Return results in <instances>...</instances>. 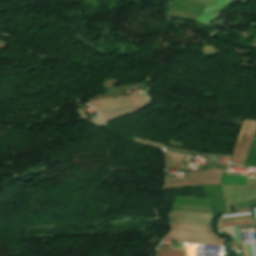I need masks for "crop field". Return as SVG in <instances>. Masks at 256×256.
Segmentation results:
<instances>
[{"label": "crop field", "mask_w": 256, "mask_h": 256, "mask_svg": "<svg viewBox=\"0 0 256 256\" xmlns=\"http://www.w3.org/2000/svg\"><path fill=\"white\" fill-rule=\"evenodd\" d=\"M169 220L175 223V228L163 238L176 239L180 246L160 247L158 251L185 249V243L212 245L226 243V239H220L213 233L211 214L171 211Z\"/></svg>", "instance_id": "crop-field-1"}, {"label": "crop field", "mask_w": 256, "mask_h": 256, "mask_svg": "<svg viewBox=\"0 0 256 256\" xmlns=\"http://www.w3.org/2000/svg\"><path fill=\"white\" fill-rule=\"evenodd\" d=\"M221 172L222 169H212L208 171L190 172L189 177H185V179L167 178L165 188L198 184H220Z\"/></svg>", "instance_id": "crop-field-2"}, {"label": "crop field", "mask_w": 256, "mask_h": 256, "mask_svg": "<svg viewBox=\"0 0 256 256\" xmlns=\"http://www.w3.org/2000/svg\"><path fill=\"white\" fill-rule=\"evenodd\" d=\"M256 128V121H244L241 129L239 139L236 145L232 163L243 165L247 155L254 131Z\"/></svg>", "instance_id": "crop-field-3"}, {"label": "crop field", "mask_w": 256, "mask_h": 256, "mask_svg": "<svg viewBox=\"0 0 256 256\" xmlns=\"http://www.w3.org/2000/svg\"><path fill=\"white\" fill-rule=\"evenodd\" d=\"M167 168L179 169L184 158L183 155L165 152Z\"/></svg>", "instance_id": "crop-field-4"}, {"label": "crop field", "mask_w": 256, "mask_h": 256, "mask_svg": "<svg viewBox=\"0 0 256 256\" xmlns=\"http://www.w3.org/2000/svg\"><path fill=\"white\" fill-rule=\"evenodd\" d=\"M221 184H246V177L222 174Z\"/></svg>", "instance_id": "crop-field-5"}, {"label": "crop field", "mask_w": 256, "mask_h": 256, "mask_svg": "<svg viewBox=\"0 0 256 256\" xmlns=\"http://www.w3.org/2000/svg\"><path fill=\"white\" fill-rule=\"evenodd\" d=\"M246 213H249L248 208H247V209H244V210H242L241 212H238V213H236V214H234V215L246 214ZM247 222H251L250 217H247V218H240V219H233V220H226V221H223V226H225V225H231V224L247 223Z\"/></svg>", "instance_id": "crop-field-6"}, {"label": "crop field", "mask_w": 256, "mask_h": 256, "mask_svg": "<svg viewBox=\"0 0 256 256\" xmlns=\"http://www.w3.org/2000/svg\"><path fill=\"white\" fill-rule=\"evenodd\" d=\"M249 226H252V225L248 224V225H241L238 227L242 228V227H249ZM238 227L237 226H229V227H223V228L225 230H227L228 232H230L239 242H242L241 233H240V231H238ZM249 228H252V227H249ZM242 229H247V228H242Z\"/></svg>", "instance_id": "crop-field-7"}, {"label": "crop field", "mask_w": 256, "mask_h": 256, "mask_svg": "<svg viewBox=\"0 0 256 256\" xmlns=\"http://www.w3.org/2000/svg\"><path fill=\"white\" fill-rule=\"evenodd\" d=\"M155 256H186L185 250L157 252Z\"/></svg>", "instance_id": "crop-field-8"}, {"label": "crop field", "mask_w": 256, "mask_h": 256, "mask_svg": "<svg viewBox=\"0 0 256 256\" xmlns=\"http://www.w3.org/2000/svg\"><path fill=\"white\" fill-rule=\"evenodd\" d=\"M243 246H244L246 256H256L254 244H246ZM243 246L241 245V248H242L243 255L245 256Z\"/></svg>", "instance_id": "crop-field-9"}, {"label": "crop field", "mask_w": 256, "mask_h": 256, "mask_svg": "<svg viewBox=\"0 0 256 256\" xmlns=\"http://www.w3.org/2000/svg\"><path fill=\"white\" fill-rule=\"evenodd\" d=\"M181 211H193V212H205L211 213L210 210H203V209H188V208H181Z\"/></svg>", "instance_id": "crop-field-10"}]
</instances>
